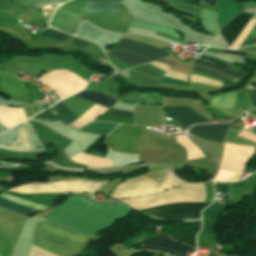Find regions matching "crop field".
I'll return each mask as SVG.
<instances>
[{
  "mask_svg": "<svg viewBox=\"0 0 256 256\" xmlns=\"http://www.w3.org/2000/svg\"><path fill=\"white\" fill-rule=\"evenodd\" d=\"M190 82H200V83L207 84V85L221 87V82L215 81V80H212V79H209V78L201 77V76H198V75H191L190 76Z\"/></svg>",
  "mask_w": 256,
  "mask_h": 256,
  "instance_id": "obj_32",
  "label": "crop field"
},
{
  "mask_svg": "<svg viewBox=\"0 0 256 256\" xmlns=\"http://www.w3.org/2000/svg\"><path fill=\"white\" fill-rule=\"evenodd\" d=\"M159 61H162V62H164V63H166V64H168V65H170L172 67H175V63H173L171 61H168V60H165V59H162V60H159Z\"/></svg>",
  "mask_w": 256,
  "mask_h": 256,
  "instance_id": "obj_42",
  "label": "crop field"
},
{
  "mask_svg": "<svg viewBox=\"0 0 256 256\" xmlns=\"http://www.w3.org/2000/svg\"><path fill=\"white\" fill-rule=\"evenodd\" d=\"M223 206L213 203L209 208L205 209L202 215L217 217Z\"/></svg>",
  "mask_w": 256,
  "mask_h": 256,
  "instance_id": "obj_34",
  "label": "crop field"
},
{
  "mask_svg": "<svg viewBox=\"0 0 256 256\" xmlns=\"http://www.w3.org/2000/svg\"><path fill=\"white\" fill-rule=\"evenodd\" d=\"M109 54L115 56L116 58L124 61L125 63H127L131 66H135V65H138V64L149 62L148 59H146L142 56H139L135 53H132L128 50L121 51V52H111Z\"/></svg>",
  "mask_w": 256,
  "mask_h": 256,
  "instance_id": "obj_24",
  "label": "crop field"
},
{
  "mask_svg": "<svg viewBox=\"0 0 256 256\" xmlns=\"http://www.w3.org/2000/svg\"><path fill=\"white\" fill-rule=\"evenodd\" d=\"M204 198L205 190L203 184H187L164 193L122 202L135 210H140L172 202H204Z\"/></svg>",
  "mask_w": 256,
  "mask_h": 256,
  "instance_id": "obj_3",
  "label": "crop field"
},
{
  "mask_svg": "<svg viewBox=\"0 0 256 256\" xmlns=\"http://www.w3.org/2000/svg\"><path fill=\"white\" fill-rule=\"evenodd\" d=\"M0 148H6L11 150H22V151H32L34 150L28 136V131L26 123L23 122L18 125V139L15 141L12 148L0 146Z\"/></svg>",
  "mask_w": 256,
  "mask_h": 256,
  "instance_id": "obj_18",
  "label": "crop field"
},
{
  "mask_svg": "<svg viewBox=\"0 0 256 256\" xmlns=\"http://www.w3.org/2000/svg\"><path fill=\"white\" fill-rule=\"evenodd\" d=\"M0 207L12 210L17 213L25 214V215L32 214L42 210V209L32 207L14 200L1 197V196H0Z\"/></svg>",
  "mask_w": 256,
  "mask_h": 256,
  "instance_id": "obj_19",
  "label": "crop field"
},
{
  "mask_svg": "<svg viewBox=\"0 0 256 256\" xmlns=\"http://www.w3.org/2000/svg\"><path fill=\"white\" fill-rule=\"evenodd\" d=\"M133 249H155V250L171 252L177 256H187L186 253L194 252V250L178 242H175L166 236Z\"/></svg>",
  "mask_w": 256,
  "mask_h": 256,
  "instance_id": "obj_8",
  "label": "crop field"
},
{
  "mask_svg": "<svg viewBox=\"0 0 256 256\" xmlns=\"http://www.w3.org/2000/svg\"><path fill=\"white\" fill-rule=\"evenodd\" d=\"M26 119L23 109L0 107V122L8 129Z\"/></svg>",
  "mask_w": 256,
  "mask_h": 256,
  "instance_id": "obj_16",
  "label": "crop field"
},
{
  "mask_svg": "<svg viewBox=\"0 0 256 256\" xmlns=\"http://www.w3.org/2000/svg\"><path fill=\"white\" fill-rule=\"evenodd\" d=\"M103 239L100 235L96 234L93 236L92 242L99 244Z\"/></svg>",
  "mask_w": 256,
  "mask_h": 256,
  "instance_id": "obj_39",
  "label": "crop field"
},
{
  "mask_svg": "<svg viewBox=\"0 0 256 256\" xmlns=\"http://www.w3.org/2000/svg\"><path fill=\"white\" fill-rule=\"evenodd\" d=\"M230 123L223 125H202L191 129V134L201 138L223 143V138ZM231 125V124H230Z\"/></svg>",
  "mask_w": 256,
  "mask_h": 256,
  "instance_id": "obj_11",
  "label": "crop field"
},
{
  "mask_svg": "<svg viewBox=\"0 0 256 256\" xmlns=\"http://www.w3.org/2000/svg\"><path fill=\"white\" fill-rule=\"evenodd\" d=\"M0 91L10 96H19L25 93V83L7 71H0Z\"/></svg>",
  "mask_w": 256,
  "mask_h": 256,
  "instance_id": "obj_13",
  "label": "crop field"
},
{
  "mask_svg": "<svg viewBox=\"0 0 256 256\" xmlns=\"http://www.w3.org/2000/svg\"><path fill=\"white\" fill-rule=\"evenodd\" d=\"M250 97H251L253 106L256 107V89H250Z\"/></svg>",
  "mask_w": 256,
  "mask_h": 256,
  "instance_id": "obj_38",
  "label": "crop field"
},
{
  "mask_svg": "<svg viewBox=\"0 0 256 256\" xmlns=\"http://www.w3.org/2000/svg\"><path fill=\"white\" fill-rule=\"evenodd\" d=\"M252 16L238 14L234 19L229 21L220 31L228 46L236 39Z\"/></svg>",
  "mask_w": 256,
  "mask_h": 256,
  "instance_id": "obj_10",
  "label": "crop field"
},
{
  "mask_svg": "<svg viewBox=\"0 0 256 256\" xmlns=\"http://www.w3.org/2000/svg\"><path fill=\"white\" fill-rule=\"evenodd\" d=\"M98 204L91 199L70 197L41 218L74 232L94 235L134 210L120 202L102 203L104 207Z\"/></svg>",
  "mask_w": 256,
  "mask_h": 256,
  "instance_id": "obj_1",
  "label": "crop field"
},
{
  "mask_svg": "<svg viewBox=\"0 0 256 256\" xmlns=\"http://www.w3.org/2000/svg\"><path fill=\"white\" fill-rule=\"evenodd\" d=\"M51 111H53L57 116L55 117L54 114H52L47 109L42 111L41 113L35 115L34 117L30 118L33 120H48V121H65L70 122L77 118L61 101L53 105L52 107L48 108Z\"/></svg>",
  "mask_w": 256,
  "mask_h": 256,
  "instance_id": "obj_9",
  "label": "crop field"
},
{
  "mask_svg": "<svg viewBox=\"0 0 256 256\" xmlns=\"http://www.w3.org/2000/svg\"><path fill=\"white\" fill-rule=\"evenodd\" d=\"M248 103H249L248 89L238 91L235 108L247 107Z\"/></svg>",
  "mask_w": 256,
  "mask_h": 256,
  "instance_id": "obj_31",
  "label": "crop field"
},
{
  "mask_svg": "<svg viewBox=\"0 0 256 256\" xmlns=\"http://www.w3.org/2000/svg\"><path fill=\"white\" fill-rule=\"evenodd\" d=\"M83 20L102 21L113 24L127 25L129 16L126 12L107 13V14H86L82 13Z\"/></svg>",
  "mask_w": 256,
  "mask_h": 256,
  "instance_id": "obj_15",
  "label": "crop field"
},
{
  "mask_svg": "<svg viewBox=\"0 0 256 256\" xmlns=\"http://www.w3.org/2000/svg\"><path fill=\"white\" fill-rule=\"evenodd\" d=\"M226 184L217 185L219 193H223Z\"/></svg>",
  "mask_w": 256,
  "mask_h": 256,
  "instance_id": "obj_43",
  "label": "crop field"
},
{
  "mask_svg": "<svg viewBox=\"0 0 256 256\" xmlns=\"http://www.w3.org/2000/svg\"><path fill=\"white\" fill-rule=\"evenodd\" d=\"M221 52H223V53H229V54L242 55V56H245V55H246V53H245V52H240V51H227V50H221ZM223 53H221V54H223ZM229 54H227V55H229ZM236 55H233V56H236ZM242 56H238V57H242ZM242 58H244V57H242Z\"/></svg>",
  "mask_w": 256,
  "mask_h": 256,
  "instance_id": "obj_37",
  "label": "crop field"
},
{
  "mask_svg": "<svg viewBox=\"0 0 256 256\" xmlns=\"http://www.w3.org/2000/svg\"><path fill=\"white\" fill-rule=\"evenodd\" d=\"M181 1H182V2H185V3H187V4H190V5H194V6H197V7L205 8V7L199 5L198 3H196V2H194V1H192V0H181ZM205 9H207V8H205Z\"/></svg>",
  "mask_w": 256,
  "mask_h": 256,
  "instance_id": "obj_40",
  "label": "crop field"
},
{
  "mask_svg": "<svg viewBox=\"0 0 256 256\" xmlns=\"http://www.w3.org/2000/svg\"><path fill=\"white\" fill-rule=\"evenodd\" d=\"M194 63H196V64H201V65H205V66H209V67H212V68H214V69H218V70H220V71H222V72H224V73H226V74H228V75H230V76H232V77H236V78H239V79H240V77H241V73H242V72L228 71V70H226V69H224V68H222V67H220V66H218V65L209 63V62H207V61H203V60L197 59V60H195Z\"/></svg>",
  "mask_w": 256,
  "mask_h": 256,
  "instance_id": "obj_29",
  "label": "crop field"
},
{
  "mask_svg": "<svg viewBox=\"0 0 256 256\" xmlns=\"http://www.w3.org/2000/svg\"><path fill=\"white\" fill-rule=\"evenodd\" d=\"M153 237V236H152Z\"/></svg>",
  "mask_w": 256,
  "mask_h": 256,
  "instance_id": "obj_48",
  "label": "crop field"
},
{
  "mask_svg": "<svg viewBox=\"0 0 256 256\" xmlns=\"http://www.w3.org/2000/svg\"><path fill=\"white\" fill-rule=\"evenodd\" d=\"M106 110L107 108L95 104L93 107H91L85 114H83L79 119H77L71 125L80 128L83 125L93 121L98 116V114H102Z\"/></svg>",
  "mask_w": 256,
  "mask_h": 256,
  "instance_id": "obj_22",
  "label": "crop field"
},
{
  "mask_svg": "<svg viewBox=\"0 0 256 256\" xmlns=\"http://www.w3.org/2000/svg\"><path fill=\"white\" fill-rule=\"evenodd\" d=\"M130 70L138 72V73H140L146 77H149L155 81H158V82L160 81L161 77L164 74V71H162L158 68H155L147 63L130 68Z\"/></svg>",
  "mask_w": 256,
  "mask_h": 256,
  "instance_id": "obj_25",
  "label": "crop field"
},
{
  "mask_svg": "<svg viewBox=\"0 0 256 256\" xmlns=\"http://www.w3.org/2000/svg\"><path fill=\"white\" fill-rule=\"evenodd\" d=\"M201 226L178 231L176 233L170 234L168 236L175 238L191 247L195 246V236Z\"/></svg>",
  "mask_w": 256,
  "mask_h": 256,
  "instance_id": "obj_26",
  "label": "crop field"
},
{
  "mask_svg": "<svg viewBox=\"0 0 256 256\" xmlns=\"http://www.w3.org/2000/svg\"><path fill=\"white\" fill-rule=\"evenodd\" d=\"M200 58H202V59H207V60H211V61H213V62H215V63H217V64H219L220 66L225 67V68L228 67V66H226V65H224V64H222V63H220V62H218V61H216V60H214V59H212V58H209V57L200 56Z\"/></svg>",
  "mask_w": 256,
  "mask_h": 256,
  "instance_id": "obj_41",
  "label": "crop field"
},
{
  "mask_svg": "<svg viewBox=\"0 0 256 256\" xmlns=\"http://www.w3.org/2000/svg\"><path fill=\"white\" fill-rule=\"evenodd\" d=\"M254 36H256V27L254 28V30L249 35V37H254Z\"/></svg>",
  "mask_w": 256,
  "mask_h": 256,
  "instance_id": "obj_44",
  "label": "crop field"
},
{
  "mask_svg": "<svg viewBox=\"0 0 256 256\" xmlns=\"http://www.w3.org/2000/svg\"><path fill=\"white\" fill-rule=\"evenodd\" d=\"M133 115L134 113L131 112L110 109L103 116H98L95 120L131 124Z\"/></svg>",
  "mask_w": 256,
  "mask_h": 256,
  "instance_id": "obj_20",
  "label": "crop field"
},
{
  "mask_svg": "<svg viewBox=\"0 0 256 256\" xmlns=\"http://www.w3.org/2000/svg\"><path fill=\"white\" fill-rule=\"evenodd\" d=\"M152 236V235H151Z\"/></svg>",
  "mask_w": 256,
  "mask_h": 256,
  "instance_id": "obj_47",
  "label": "crop field"
},
{
  "mask_svg": "<svg viewBox=\"0 0 256 256\" xmlns=\"http://www.w3.org/2000/svg\"><path fill=\"white\" fill-rule=\"evenodd\" d=\"M39 34H42V35H45V36H48V37H52V38H55V39H58V40H61V41L71 38V36H69L67 34L52 30L50 28L43 31V32H40Z\"/></svg>",
  "mask_w": 256,
  "mask_h": 256,
  "instance_id": "obj_33",
  "label": "crop field"
},
{
  "mask_svg": "<svg viewBox=\"0 0 256 256\" xmlns=\"http://www.w3.org/2000/svg\"><path fill=\"white\" fill-rule=\"evenodd\" d=\"M141 239H143L144 241H146L143 237H141ZM138 242L134 239L132 240L135 244L141 243L140 238H137Z\"/></svg>",
  "mask_w": 256,
  "mask_h": 256,
  "instance_id": "obj_45",
  "label": "crop field"
},
{
  "mask_svg": "<svg viewBox=\"0 0 256 256\" xmlns=\"http://www.w3.org/2000/svg\"><path fill=\"white\" fill-rule=\"evenodd\" d=\"M217 10L219 12L217 24L220 29L234 15L240 12V7L234 0H219Z\"/></svg>",
  "mask_w": 256,
  "mask_h": 256,
  "instance_id": "obj_14",
  "label": "crop field"
},
{
  "mask_svg": "<svg viewBox=\"0 0 256 256\" xmlns=\"http://www.w3.org/2000/svg\"><path fill=\"white\" fill-rule=\"evenodd\" d=\"M204 1H207V2H209L212 6H214V4H215V2H216L217 0H204Z\"/></svg>",
  "mask_w": 256,
  "mask_h": 256,
  "instance_id": "obj_46",
  "label": "crop field"
},
{
  "mask_svg": "<svg viewBox=\"0 0 256 256\" xmlns=\"http://www.w3.org/2000/svg\"><path fill=\"white\" fill-rule=\"evenodd\" d=\"M161 82L190 87L187 83L176 81V80H172V79H168V78H164V77L162 78Z\"/></svg>",
  "mask_w": 256,
  "mask_h": 256,
  "instance_id": "obj_36",
  "label": "crop field"
},
{
  "mask_svg": "<svg viewBox=\"0 0 256 256\" xmlns=\"http://www.w3.org/2000/svg\"><path fill=\"white\" fill-rule=\"evenodd\" d=\"M99 181H64L49 184L29 183L9 191L23 193H46V192H79L93 194V192L102 185Z\"/></svg>",
  "mask_w": 256,
  "mask_h": 256,
  "instance_id": "obj_5",
  "label": "crop field"
},
{
  "mask_svg": "<svg viewBox=\"0 0 256 256\" xmlns=\"http://www.w3.org/2000/svg\"><path fill=\"white\" fill-rule=\"evenodd\" d=\"M182 184L184 183L180 182L169 172L167 173L164 183L161 185H158L141 175L124 181L115 189L112 196L121 199H129L159 193Z\"/></svg>",
  "mask_w": 256,
  "mask_h": 256,
  "instance_id": "obj_4",
  "label": "crop field"
},
{
  "mask_svg": "<svg viewBox=\"0 0 256 256\" xmlns=\"http://www.w3.org/2000/svg\"><path fill=\"white\" fill-rule=\"evenodd\" d=\"M202 218H203V229L198 236V240H197L198 246L218 242L213 230V226L216 218L206 217V216H202Z\"/></svg>",
  "mask_w": 256,
  "mask_h": 256,
  "instance_id": "obj_17",
  "label": "crop field"
},
{
  "mask_svg": "<svg viewBox=\"0 0 256 256\" xmlns=\"http://www.w3.org/2000/svg\"><path fill=\"white\" fill-rule=\"evenodd\" d=\"M116 45L121 46V47H123V48H125V49H129V50H131V51H133V52H135V53H137V54H140V55H142V56H144V57H146V58L151 59L152 61L161 59V58H159V57H157V56H155V55H151V54L145 53V52H143V51H140V50L131 48V47H129V46H126V45H123V44H120V43H118V44H116Z\"/></svg>",
  "mask_w": 256,
  "mask_h": 256,
  "instance_id": "obj_35",
  "label": "crop field"
},
{
  "mask_svg": "<svg viewBox=\"0 0 256 256\" xmlns=\"http://www.w3.org/2000/svg\"><path fill=\"white\" fill-rule=\"evenodd\" d=\"M75 96L93 101L95 103L101 104L103 106H106L108 108H110V106L116 102L115 99H113L112 97L103 94V93H97V92H81L76 94Z\"/></svg>",
  "mask_w": 256,
  "mask_h": 256,
  "instance_id": "obj_21",
  "label": "crop field"
},
{
  "mask_svg": "<svg viewBox=\"0 0 256 256\" xmlns=\"http://www.w3.org/2000/svg\"><path fill=\"white\" fill-rule=\"evenodd\" d=\"M163 108L167 116L177 119L182 126L208 121L205 118L195 114L190 109V107H182V108L163 107Z\"/></svg>",
  "mask_w": 256,
  "mask_h": 256,
  "instance_id": "obj_12",
  "label": "crop field"
},
{
  "mask_svg": "<svg viewBox=\"0 0 256 256\" xmlns=\"http://www.w3.org/2000/svg\"><path fill=\"white\" fill-rule=\"evenodd\" d=\"M90 240L46 222L37 224L32 244L60 256H75Z\"/></svg>",
  "mask_w": 256,
  "mask_h": 256,
  "instance_id": "obj_2",
  "label": "crop field"
},
{
  "mask_svg": "<svg viewBox=\"0 0 256 256\" xmlns=\"http://www.w3.org/2000/svg\"><path fill=\"white\" fill-rule=\"evenodd\" d=\"M122 40L126 41V42H129V43H132V44H136V45H139V46H143L145 48H142V47H138V46H135V45H132V44H129V43H126V42H123V41H119L120 43H123V44H127L131 47H134V48H137V49H140V50H143V51H146L148 53H151V54H155L161 58L171 54V53H168V52H165L163 50H160L158 48H155L153 46H150V45H146V44H142V43H139V42H135V41H132V40H128V39H124L122 38Z\"/></svg>",
  "mask_w": 256,
  "mask_h": 256,
  "instance_id": "obj_27",
  "label": "crop field"
},
{
  "mask_svg": "<svg viewBox=\"0 0 256 256\" xmlns=\"http://www.w3.org/2000/svg\"><path fill=\"white\" fill-rule=\"evenodd\" d=\"M151 64H153V65H155V66L165 70L166 71L165 74H164L165 77H169V78H172V79H176V80L187 82L188 75L170 71V70H168L170 68V66L165 65L163 63H160L158 61L152 62Z\"/></svg>",
  "mask_w": 256,
  "mask_h": 256,
  "instance_id": "obj_28",
  "label": "crop field"
},
{
  "mask_svg": "<svg viewBox=\"0 0 256 256\" xmlns=\"http://www.w3.org/2000/svg\"><path fill=\"white\" fill-rule=\"evenodd\" d=\"M119 125H120L119 123L94 121L82 127L81 130L108 135L111 131H113Z\"/></svg>",
  "mask_w": 256,
  "mask_h": 256,
  "instance_id": "obj_23",
  "label": "crop field"
},
{
  "mask_svg": "<svg viewBox=\"0 0 256 256\" xmlns=\"http://www.w3.org/2000/svg\"><path fill=\"white\" fill-rule=\"evenodd\" d=\"M193 70L210 74V75L215 76V77H217V78H219V79H221V80H223L225 82H229V81L233 80V78H229L230 76L229 77L224 76L225 74L222 75L223 73L220 74V73H218V72H216L214 70H211V69H208V68H205V67H202V66L194 65Z\"/></svg>",
  "mask_w": 256,
  "mask_h": 256,
  "instance_id": "obj_30",
  "label": "crop field"
},
{
  "mask_svg": "<svg viewBox=\"0 0 256 256\" xmlns=\"http://www.w3.org/2000/svg\"><path fill=\"white\" fill-rule=\"evenodd\" d=\"M210 203H172L155 206L143 211L152 210L162 218L191 219L200 218V211Z\"/></svg>",
  "mask_w": 256,
  "mask_h": 256,
  "instance_id": "obj_7",
  "label": "crop field"
},
{
  "mask_svg": "<svg viewBox=\"0 0 256 256\" xmlns=\"http://www.w3.org/2000/svg\"><path fill=\"white\" fill-rule=\"evenodd\" d=\"M141 130L140 127L122 125L109 135L106 143L115 151L137 153L138 137Z\"/></svg>",
  "mask_w": 256,
  "mask_h": 256,
  "instance_id": "obj_6",
  "label": "crop field"
}]
</instances>
